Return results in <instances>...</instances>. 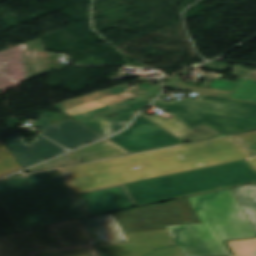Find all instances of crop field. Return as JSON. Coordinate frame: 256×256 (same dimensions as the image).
Instances as JSON below:
<instances>
[{
  "label": "crop field",
  "instance_id": "1",
  "mask_svg": "<svg viewBox=\"0 0 256 256\" xmlns=\"http://www.w3.org/2000/svg\"><path fill=\"white\" fill-rule=\"evenodd\" d=\"M253 157L232 137L101 160L61 169L75 192ZM138 166L139 169H132Z\"/></svg>",
  "mask_w": 256,
  "mask_h": 256
},
{
  "label": "crop field",
  "instance_id": "2",
  "mask_svg": "<svg viewBox=\"0 0 256 256\" xmlns=\"http://www.w3.org/2000/svg\"><path fill=\"white\" fill-rule=\"evenodd\" d=\"M187 200L202 223L168 227L183 256L231 255L224 240L256 237L231 188Z\"/></svg>",
  "mask_w": 256,
  "mask_h": 256
},
{
  "label": "crop field",
  "instance_id": "3",
  "mask_svg": "<svg viewBox=\"0 0 256 256\" xmlns=\"http://www.w3.org/2000/svg\"><path fill=\"white\" fill-rule=\"evenodd\" d=\"M0 200L19 230L86 216L59 170L1 180Z\"/></svg>",
  "mask_w": 256,
  "mask_h": 256
},
{
  "label": "crop field",
  "instance_id": "4",
  "mask_svg": "<svg viewBox=\"0 0 256 256\" xmlns=\"http://www.w3.org/2000/svg\"><path fill=\"white\" fill-rule=\"evenodd\" d=\"M256 181L243 160L123 184L136 206Z\"/></svg>",
  "mask_w": 256,
  "mask_h": 256
},
{
  "label": "crop field",
  "instance_id": "5",
  "mask_svg": "<svg viewBox=\"0 0 256 256\" xmlns=\"http://www.w3.org/2000/svg\"><path fill=\"white\" fill-rule=\"evenodd\" d=\"M153 104L163 108L188 128L202 122L221 134L256 128V104L201 96L194 101L184 99L172 104L158 98Z\"/></svg>",
  "mask_w": 256,
  "mask_h": 256
},
{
  "label": "crop field",
  "instance_id": "6",
  "mask_svg": "<svg viewBox=\"0 0 256 256\" xmlns=\"http://www.w3.org/2000/svg\"><path fill=\"white\" fill-rule=\"evenodd\" d=\"M123 233L166 229L200 222L186 198L113 214ZM146 217L145 220L138 218Z\"/></svg>",
  "mask_w": 256,
  "mask_h": 256
},
{
  "label": "crop field",
  "instance_id": "7",
  "mask_svg": "<svg viewBox=\"0 0 256 256\" xmlns=\"http://www.w3.org/2000/svg\"><path fill=\"white\" fill-rule=\"evenodd\" d=\"M125 235L131 243L94 248L99 256H182L168 229Z\"/></svg>",
  "mask_w": 256,
  "mask_h": 256
},
{
  "label": "crop field",
  "instance_id": "8",
  "mask_svg": "<svg viewBox=\"0 0 256 256\" xmlns=\"http://www.w3.org/2000/svg\"><path fill=\"white\" fill-rule=\"evenodd\" d=\"M108 139L129 152L182 143L140 113L127 130Z\"/></svg>",
  "mask_w": 256,
  "mask_h": 256
},
{
  "label": "crop field",
  "instance_id": "9",
  "mask_svg": "<svg viewBox=\"0 0 256 256\" xmlns=\"http://www.w3.org/2000/svg\"><path fill=\"white\" fill-rule=\"evenodd\" d=\"M1 138L24 168L67 152L39 134L35 136V142L27 145L17 129L1 135Z\"/></svg>",
  "mask_w": 256,
  "mask_h": 256
},
{
  "label": "crop field",
  "instance_id": "10",
  "mask_svg": "<svg viewBox=\"0 0 256 256\" xmlns=\"http://www.w3.org/2000/svg\"><path fill=\"white\" fill-rule=\"evenodd\" d=\"M62 249L48 227L0 237V256H28L27 252Z\"/></svg>",
  "mask_w": 256,
  "mask_h": 256
},
{
  "label": "crop field",
  "instance_id": "11",
  "mask_svg": "<svg viewBox=\"0 0 256 256\" xmlns=\"http://www.w3.org/2000/svg\"><path fill=\"white\" fill-rule=\"evenodd\" d=\"M38 123H40L38 125L41 129L40 134L70 150L103 138L71 119L54 126L49 122L48 118L41 114Z\"/></svg>",
  "mask_w": 256,
  "mask_h": 256
},
{
  "label": "crop field",
  "instance_id": "12",
  "mask_svg": "<svg viewBox=\"0 0 256 256\" xmlns=\"http://www.w3.org/2000/svg\"><path fill=\"white\" fill-rule=\"evenodd\" d=\"M154 98L155 97L148 99L146 101H142V102L132 104L126 107H122L116 110H112L106 113H102L89 118L78 120V122L94 130L100 135L106 137L124 128L130 122V120L135 115V113L139 111L141 108H143L145 105H147ZM113 112L119 113V116L113 117L111 119L101 117L103 115L113 113Z\"/></svg>",
  "mask_w": 256,
  "mask_h": 256
},
{
  "label": "crop field",
  "instance_id": "13",
  "mask_svg": "<svg viewBox=\"0 0 256 256\" xmlns=\"http://www.w3.org/2000/svg\"><path fill=\"white\" fill-rule=\"evenodd\" d=\"M127 154L126 151L116 146L109 140L105 139L81 150L63 156L61 158L55 159L53 161L44 163L42 165L28 169L30 172L47 169L51 167H56L64 164L87 161L92 159L104 158L109 156Z\"/></svg>",
  "mask_w": 256,
  "mask_h": 256
},
{
  "label": "crop field",
  "instance_id": "14",
  "mask_svg": "<svg viewBox=\"0 0 256 256\" xmlns=\"http://www.w3.org/2000/svg\"><path fill=\"white\" fill-rule=\"evenodd\" d=\"M94 245L126 242L111 213L80 219Z\"/></svg>",
  "mask_w": 256,
  "mask_h": 256
},
{
  "label": "crop field",
  "instance_id": "15",
  "mask_svg": "<svg viewBox=\"0 0 256 256\" xmlns=\"http://www.w3.org/2000/svg\"><path fill=\"white\" fill-rule=\"evenodd\" d=\"M140 113L184 142L219 135V133L205 123H202L192 129H188L175 118L165 121L161 117H149L142 112Z\"/></svg>",
  "mask_w": 256,
  "mask_h": 256
},
{
  "label": "crop field",
  "instance_id": "16",
  "mask_svg": "<svg viewBox=\"0 0 256 256\" xmlns=\"http://www.w3.org/2000/svg\"><path fill=\"white\" fill-rule=\"evenodd\" d=\"M62 248L93 245L78 220L50 226Z\"/></svg>",
  "mask_w": 256,
  "mask_h": 256
},
{
  "label": "crop field",
  "instance_id": "17",
  "mask_svg": "<svg viewBox=\"0 0 256 256\" xmlns=\"http://www.w3.org/2000/svg\"><path fill=\"white\" fill-rule=\"evenodd\" d=\"M25 49L28 80L49 71L48 58L52 52L46 53L42 49L40 39L26 44Z\"/></svg>",
  "mask_w": 256,
  "mask_h": 256
},
{
  "label": "crop field",
  "instance_id": "18",
  "mask_svg": "<svg viewBox=\"0 0 256 256\" xmlns=\"http://www.w3.org/2000/svg\"><path fill=\"white\" fill-rule=\"evenodd\" d=\"M232 190L256 228V183L233 187Z\"/></svg>",
  "mask_w": 256,
  "mask_h": 256
},
{
  "label": "crop field",
  "instance_id": "19",
  "mask_svg": "<svg viewBox=\"0 0 256 256\" xmlns=\"http://www.w3.org/2000/svg\"><path fill=\"white\" fill-rule=\"evenodd\" d=\"M99 193L110 211L135 206L123 185L100 190Z\"/></svg>",
  "mask_w": 256,
  "mask_h": 256
},
{
  "label": "crop field",
  "instance_id": "20",
  "mask_svg": "<svg viewBox=\"0 0 256 256\" xmlns=\"http://www.w3.org/2000/svg\"><path fill=\"white\" fill-rule=\"evenodd\" d=\"M76 196L89 216L109 211L98 191L77 194Z\"/></svg>",
  "mask_w": 256,
  "mask_h": 256
},
{
  "label": "crop field",
  "instance_id": "21",
  "mask_svg": "<svg viewBox=\"0 0 256 256\" xmlns=\"http://www.w3.org/2000/svg\"><path fill=\"white\" fill-rule=\"evenodd\" d=\"M228 98L256 102V72L237 87Z\"/></svg>",
  "mask_w": 256,
  "mask_h": 256
},
{
  "label": "crop field",
  "instance_id": "22",
  "mask_svg": "<svg viewBox=\"0 0 256 256\" xmlns=\"http://www.w3.org/2000/svg\"><path fill=\"white\" fill-rule=\"evenodd\" d=\"M226 242L235 256H256V238Z\"/></svg>",
  "mask_w": 256,
  "mask_h": 256
},
{
  "label": "crop field",
  "instance_id": "23",
  "mask_svg": "<svg viewBox=\"0 0 256 256\" xmlns=\"http://www.w3.org/2000/svg\"><path fill=\"white\" fill-rule=\"evenodd\" d=\"M19 170L22 168L8 150L0 151V178Z\"/></svg>",
  "mask_w": 256,
  "mask_h": 256
},
{
  "label": "crop field",
  "instance_id": "24",
  "mask_svg": "<svg viewBox=\"0 0 256 256\" xmlns=\"http://www.w3.org/2000/svg\"><path fill=\"white\" fill-rule=\"evenodd\" d=\"M31 256H98L94 248L31 253Z\"/></svg>",
  "mask_w": 256,
  "mask_h": 256
},
{
  "label": "crop field",
  "instance_id": "25",
  "mask_svg": "<svg viewBox=\"0 0 256 256\" xmlns=\"http://www.w3.org/2000/svg\"><path fill=\"white\" fill-rule=\"evenodd\" d=\"M203 68L223 72L227 68V66H225L224 64H221V63L210 62V63L204 65ZM229 68H231V67H229ZM231 69L234 70L233 75H236L239 77H244V78H248L251 74H253L255 72L254 70L244 68L241 65H235Z\"/></svg>",
  "mask_w": 256,
  "mask_h": 256
},
{
  "label": "crop field",
  "instance_id": "26",
  "mask_svg": "<svg viewBox=\"0 0 256 256\" xmlns=\"http://www.w3.org/2000/svg\"><path fill=\"white\" fill-rule=\"evenodd\" d=\"M19 231L0 202V235Z\"/></svg>",
  "mask_w": 256,
  "mask_h": 256
},
{
  "label": "crop field",
  "instance_id": "27",
  "mask_svg": "<svg viewBox=\"0 0 256 256\" xmlns=\"http://www.w3.org/2000/svg\"><path fill=\"white\" fill-rule=\"evenodd\" d=\"M245 79L240 78L236 82L216 79L211 83L205 82L204 85L211 86L213 89L232 92L238 85H240Z\"/></svg>",
  "mask_w": 256,
  "mask_h": 256
},
{
  "label": "crop field",
  "instance_id": "28",
  "mask_svg": "<svg viewBox=\"0 0 256 256\" xmlns=\"http://www.w3.org/2000/svg\"><path fill=\"white\" fill-rule=\"evenodd\" d=\"M234 137L256 154V132L235 135Z\"/></svg>",
  "mask_w": 256,
  "mask_h": 256
},
{
  "label": "crop field",
  "instance_id": "29",
  "mask_svg": "<svg viewBox=\"0 0 256 256\" xmlns=\"http://www.w3.org/2000/svg\"><path fill=\"white\" fill-rule=\"evenodd\" d=\"M248 164H250L256 170V157L246 159L245 160Z\"/></svg>",
  "mask_w": 256,
  "mask_h": 256
},
{
  "label": "crop field",
  "instance_id": "30",
  "mask_svg": "<svg viewBox=\"0 0 256 256\" xmlns=\"http://www.w3.org/2000/svg\"><path fill=\"white\" fill-rule=\"evenodd\" d=\"M5 149L4 145L0 141V150Z\"/></svg>",
  "mask_w": 256,
  "mask_h": 256
}]
</instances>
